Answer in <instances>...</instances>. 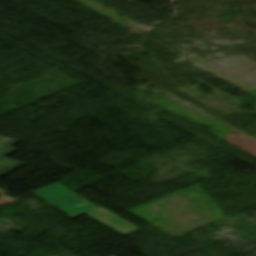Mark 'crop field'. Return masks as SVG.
<instances>
[{
    "instance_id": "crop-field-1",
    "label": "crop field",
    "mask_w": 256,
    "mask_h": 256,
    "mask_svg": "<svg viewBox=\"0 0 256 256\" xmlns=\"http://www.w3.org/2000/svg\"><path fill=\"white\" fill-rule=\"evenodd\" d=\"M35 193L72 217L96 209L57 183Z\"/></svg>"
},
{
    "instance_id": "crop-field-2",
    "label": "crop field",
    "mask_w": 256,
    "mask_h": 256,
    "mask_svg": "<svg viewBox=\"0 0 256 256\" xmlns=\"http://www.w3.org/2000/svg\"><path fill=\"white\" fill-rule=\"evenodd\" d=\"M18 141V139L0 136V175L21 165V163L15 160L5 158V156L15 152L16 149H12V147Z\"/></svg>"
}]
</instances>
